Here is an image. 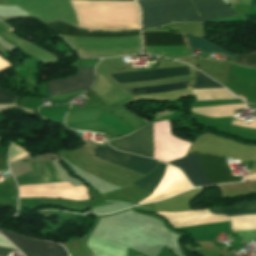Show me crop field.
Returning <instances> with one entry per match:
<instances>
[{"instance_id": "obj_1", "label": "crop field", "mask_w": 256, "mask_h": 256, "mask_svg": "<svg viewBox=\"0 0 256 256\" xmlns=\"http://www.w3.org/2000/svg\"><path fill=\"white\" fill-rule=\"evenodd\" d=\"M142 28L171 22H207L238 14L222 0H138Z\"/></svg>"}, {"instance_id": "obj_2", "label": "crop field", "mask_w": 256, "mask_h": 256, "mask_svg": "<svg viewBox=\"0 0 256 256\" xmlns=\"http://www.w3.org/2000/svg\"><path fill=\"white\" fill-rule=\"evenodd\" d=\"M155 158L169 162L185 155L191 142L171 136L167 121L153 123ZM122 150L154 158L152 124L121 138ZM120 138L115 140V148L121 150ZM128 152V153H129Z\"/></svg>"}, {"instance_id": "obj_3", "label": "crop field", "mask_w": 256, "mask_h": 256, "mask_svg": "<svg viewBox=\"0 0 256 256\" xmlns=\"http://www.w3.org/2000/svg\"><path fill=\"white\" fill-rule=\"evenodd\" d=\"M201 165L211 184L239 181L231 175V170L225 162V158L198 154ZM197 154H187L186 157L171 164L181 166L182 171L189 178L193 186L209 185V181L200 165Z\"/></svg>"}, {"instance_id": "obj_4", "label": "crop field", "mask_w": 256, "mask_h": 256, "mask_svg": "<svg viewBox=\"0 0 256 256\" xmlns=\"http://www.w3.org/2000/svg\"><path fill=\"white\" fill-rule=\"evenodd\" d=\"M182 75H189V69L187 67H174V68H168V69H157V70L138 71V72L121 73V74H111V76L118 83L147 81V80H155L160 78H166L171 76H182ZM188 82L189 81L154 86V87H147V88L130 89L127 91H129L133 95L155 93V92H161V91L186 88V86L188 85Z\"/></svg>"}, {"instance_id": "obj_5", "label": "crop field", "mask_w": 256, "mask_h": 256, "mask_svg": "<svg viewBox=\"0 0 256 256\" xmlns=\"http://www.w3.org/2000/svg\"><path fill=\"white\" fill-rule=\"evenodd\" d=\"M93 156L143 175L153 170L157 164V161L118 152L110 147L98 146Z\"/></svg>"}, {"instance_id": "obj_6", "label": "crop field", "mask_w": 256, "mask_h": 256, "mask_svg": "<svg viewBox=\"0 0 256 256\" xmlns=\"http://www.w3.org/2000/svg\"><path fill=\"white\" fill-rule=\"evenodd\" d=\"M0 233L33 256H68L63 247L59 245L31 240L3 230H0Z\"/></svg>"}, {"instance_id": "obj_7", "label": "crop field", "mask_w": 256, "mask_h": 256, "mask_svg": "<svg viewBox=\"0 0 256 256\" xmlns=\"http://www.w3.org/2000/svg\"><path fill=\"white\" fill-rule=\"evenodd\" d=\"M157 214L165 217L172 228L229 220L224 216H212L207 209L178 213L157 212Z\"/></svg>"}, {"instance_id": "obj_8", "label": "crop field", "mask_w": 256, "mask_h": 256, "mask_svg": "<svg viewBox=\"0 0 256 256\" xmlns=\"http://www.w3.org/2000/svg\"><path fill=\"white\" fill-rule=\"evenodd\" d=\"M93 68H79L80 72L75 77L49 82L52 96L88 89L94 80Z\"/></svg>"}, {"instance_id": "obj_9", "label": "crop field", "mask_w": 256, "mask_h": 256, "mask_svg": "<svg viewBox=\"0 0 256 256\" xmlns=\"http://www.w3.org/2000/svg\"><path fill=\"white\" fill-rule=\"evenodd\" d=\"M210 211L214 214H224L231 219L256 217V206L214 209ZM232 224L234 232L256 230V218L232 220Z\"/></svg>"}, {"instance_id": "obj_10", "label": "crop field", "mask_w": 256, "mask_h": 256, "mask_svg": "<svg viewBox=\"0 0 256 256\" xmlns=\"http://www.w3.org/2000/svg\"><path fill=\"white\" fill-rule=\"evenodd\" d=\"M144 46H186L182 35L172 33H145Z\"/></svg>"}, {"instance_id": "obj_11", "label": "crop field", "mask_w": 256, "mask_h": 256, "mask_svg": "<svg viewBox=\"0 0 256 256\" xmlns=\"http://www.w3.org/2000/svg\"><path fill=\"white\" fill-rule=\"evenodd\" d=\"M46 24H48L51 28H53L58 33H64V34L87 35V36H115V35L140 34V32H131V33H91V32H84V31L78 30L77 28H75V27H73L69 24H66V23H63V22H60V21H55V22L46 23Z\"/></svg>"}, {"instance_id": "obj_12", "label": "crop field", "mask_w": 256, "mask_h": 256, "mask_svg": "<svg viewBox=\"0 0 256 256\" xmlns=\"http://www.w3.org/2000/svg\"><path fill=\"white\" fill-rule=\"evenodd\" d=\"M166 167V165L159 162L158 167L154 171H152L150 174L146 175L142 179L138 180L134 184L152 192L159 184Z\"/></svg>"}, {"instance_id": "obj_13", "label": "crop field", "mask_w": 256, "mask_h": 256, "mask_svg": "<svg viewBox=\"0 0 256 256\" xmlns=\"http://www.w3.org/2000/svg\"><path fill=\"white\" fill-rule=\"evenodd\" d=\"M162 28H170L176 32L192 34L204 38L203 23H176Z\"/></svg>"}, {"instance_id": "obj_14", "label": "crop field", "mask_w": 256, "mask_h": 256, "mask_svg": "<svg viewBox=\"0 0 256 256\" xmlns=\"http://www.w3.org/2000/svg\"><path fill=\"white\" fill-rule=\"evenodd\" d=\"M187 37L194 49L205 50V51H209V52L214 51V52L224 53V54H227V55L235 58L234 54L222 50L220 47L212 44L209 41L194 38V37H189V36H187Z\"/></svg>"}, {"instance_id": "obj_15", "label": "crop field", "mask_w": 256, "mask_h": 256, "mask_svg": "<svg viewBox=\"0 0 256 256\" xmlns=\"http://www.w3.org/2000/svg\"><path fill=\"white\" fill-rule=\"evenodd\" d=\"M195 73H196V77L194 80L193 88L222 86V85L212 81L210 78L203 75L199 71L195 70Z\"/></svg>"}, {"instance_id": "obj_16", "label": "crop field", "mask_w": 256, "mask_h": 256, "mask_svg": "<svg viewBox=\"0 0 256 256\" xmlns=\"http://www.w3.org/2000/svg\"><path fill=\"white\" fill-rule=\"evenodd\" d=\"M237 63L245 65H256V52L249 54H238Z\"/></svg>"}, {"instance_id": "obj_17", "label": "crop field", "mask_w": 256, "mask_h": 256, "mask_svg": "<svg viewBox=\"0 0 256 256\" xmlns=\"http://www.w3.org/2000/svg\"><path fill=\"white\" fill-rule=\"evenodd\" d=\"M16 96L0 88V104H15Z\"/></svg>"}, {"instance_id": "obj_18", "label": "crop field", "mask_w": 256, "mask_h": 256, "mask_svg": "<svg viewBox=\"0 0 256 256\" xmlns=\"http://www.w3.org/2000/svg\"><path fill=\"white\" fill-rule=\"evenodd\" d=\"M11 66L8 62H6L3 58L0 57V71L6 69Z\"/></svg>"}, {"instance_id": "obj_19", "label": "crop field", "mask_w": 256, "mask_h": 256, "mask_svg": "<svg viewBox=\"0 0 256 256\" xmlns=\"http://www.w3.org/2000/svg\"><path fill=\"white\" fill-rule=\"evenodd\" d=\"M12 249L0 247V256H7Z\"/></svg>"}, {"instance_id": "obj_20", "label": "crop field", "mask_w": 256, "mask_h": 256, "mask_svg": "<svg viewBox=\"0 0 256 256\" xmlns=\"http://www.w3.org/2000/svg\"><path fill=\"white\" fill-rule=\"evenodd\" d=\"M3 155L0 154V165H2Z\"/></svg>"}]
</instances>
